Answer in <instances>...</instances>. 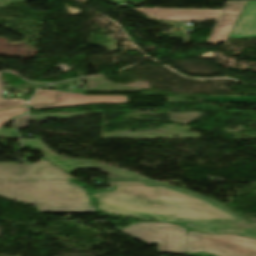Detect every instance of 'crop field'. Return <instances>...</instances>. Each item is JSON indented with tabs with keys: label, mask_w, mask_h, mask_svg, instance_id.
<instances>
[{
	"label": "crop field",
	"mask_w": 256,
	"mask_h": 256,
	"mask_svg": "<svg viewBox=\"0 0 256 256\" xmlns=\"http://www.w3.org/2000/svg\"><path fill=\"white\" fill-rule=\"evenodd\" d=\"M22 144H29L35 148L42 150L45 156L59 167L68 170L69 172L76 169H100L103 173H107L110 179H148L143 176L134 174L130 171L113 168L89 161L71 159L61 157L49 150L40 139H21Z\"/></svg>",
	"instance_id": "crop-field-7"
},
{
	"label": "crop field",
	"mask_w": 256,
	"mask_h": 256,
	"mask_svg": "<svg viewBox=\"0 0 256 256\" xmlns=\"http://www.w3.org/2000/svg\"><path fill=\"white\" fill-rule=\"evenodd\" d=\"M27 114V110L25 107L18 108V109H12V110H6L0 112V127L4 124L8 123L12 119ZM0 138H18V133L0 128Z\"/></svg>",
	"instance_id": "crop-field-11"
},
{
	"label": "crop field",
	"mask_w": 256,
	"mask_h": 256,
	"mask_svg": "<svg viewBox=\"0 0 256 256\" xmlns=\"http://www.w3.org/2000/svg\"><path fill=\"white\" fill-rule=\"evenodd\" d=\"M256 37V1H250L230 34V39Z\"/></svg>",
	"instance_id": "crop-field-10"
},
{
	"label": "crop field",
	"mask_w": 256,
	"mask_h": 256,
	"mask_svg": "<svg viewBox=\"0 0 256 256\" xmlns=\"http://www.w3.org/2000/svg\"><path fill=\"white\" fill-rule=\"evenodd\" d=\"M0 195L36 205L40 212L96 211L71 180H0Z\"/></svg>",
	"instance_id": "crop-field-2"
},
{
	"label": "crop field",
	"mask_w": 256,
	"mask_h": 256,
	"mask_svg": "<svg viewBox=\"0 0 256 256\" xmlns=\"http://www.w3.org/2000/svg\"><path fill=\"white\" fill-rule=\"evenodd\" d=\"M127 103V96H84L54 90H38L37 95L28 104L35 109L74 107L88 104Z\"/></svg>",
	"instance_id": "crop-field-6"
},
{
	"label": "crop field",
	"mask_w": 256,
	"mask_h": 256,
	"mask_svg": "<svg viewBox=\"0 0 256 256\" xmlns=\"http://www.w3.org/2000/svg\"><path fill=\"white\" fill-rule=\"evenodd\" d=\"M206 102H256V97H243V96L206 97Z\"/></svg>",
	"instance_id": "crop-field-12"
},
{
	"label": "crop field",
	"mask_w": 256,
	"mask_h": 256,
	"mask_svg": "<svg viewBox=\"0 0 256 256\" xmlns=\"http://www.w3.org/2000/svg\"><path fill=\"white\" fill-rule=\"evenodd\" d=\"M0 179H72L71 176L43 160L31 165H1Z\"/></svg>",
	"instance_id": "crop-field-8"
},
{
	"label": "crop field",
	"mask_w": 256,
	"mask_h": 256,
	"mask_svg": "<svg viewBox=\"0 0 256 256\" xmlns=\"http://www.w3.org/2000/svg\"><path fill=\"white\" fill-rule=\"evenodd\" d=\"M247 1H227L222 10L207 9H160L138 8V12L153 20L205 21L217 22L207 39V43L217 44L225 41Z\"/></svg>",
	"instance_id": "crop-field-3"
},
{
	"label": "crop field",
	"mask_w": 256,
	"mask_h": 256,
	"mask_svg": "<svg viewBox=\"0 0 256 256\" xmlns=\"http://www.w3.org/2000/svg\"><path fill=\"white\" fill-rule=\"evenodd\" d=\"M128 1H132V2L138 3V2H141V1H143V0H128Z\"/></svg>",
	"instance_id": "crop-field-17"
},
{
	"label": "crop field",
	"mask_w": 256,
	"mask_h": 256,
	"mask_svg": "<svg viewBox=\"0 0 256 256\" xmlns=\"http://www.w3.org/2000/svg\"><path fill=\"white\" fill-rule=\"evenodd\" d=\"M200 251L217 256H256V240L233 234H202L188 229L187 253Z\"/></svg>",
	"instance_id": "crop-field-4"
},
{
	"label": "crop field",
	"mask_w": 256,
	"mask_h": 256,
	"mask_svg": "<svg viewBox=\"0 0 256 256\" xmlns=\"http://www.w3.org/2000/svg\"><path fill=\"white\" fill-rule=\"evenodd\" d=\"M117 191L100 194L104 212L163 222H248L213 200L198 194L153 182H116Z\"/></svg>",
	"instance_id": "crop-field-1"
},
{
	"label": "crop field",
	"mask_w": 256,
	"mask_h": 256,
	"mask_svg": "<svg viewBox=\"0 0 256 256\" xmlns=\"http://www.w3.org/2000/svg\"><path fill=\"white\" fill-rule=\"evenodd\" d=\"M21 1H26V0H0L1 5H6V4H12V3H17Z\"/></svg>",
	"instance_id": "crop-field-15"
},
{
	"label": "crop field",
	"mask_w": 256,
	"mask_h": 256,
	"mask_svg": "<svg viewBox=\"0 0 256 256\" xmlns=\"http://www.w3.org/2000/svg\"><path fill=\"white\" fill-rule=\"evenodd\" d=\"M186 226L201 232H232L256 237V223H187Z\"/></svg>",
	"instance_id": "crop-field-9"
},
{
	"label": "crop field",
	"mask_w": 256,
	"mask_h": 256,
	"mask_svg": "<svg viewBox=\"0 0 256 256\" xmlns=\"http://www.w3.org/2000/svg\"><path fill=\"white\" fill-rule=\"evenodd\" d=\"M145 216H150V217H154V218H157V219H159V217H156V216H152V215H148V214H145ZM148 218V217H147ZM148 219H150V218H148ZM150 220H153V219H150ZM154 221H160V219L159 220H154Z\"/></svg>",
	"instance_id": "crop-field-16"
},
{
	"label": "crop field",
	"mask_w": 256,
	"mask_h": 256,
	"mask_svg": "<svg viewBox=\"0 0 256 256\" xmlns=\"http://www.w3.org/2000/svg\"><path fill=\"white\" fill-rule=\"evenodd\" d=\"M150 245L158 242L159 252L186 254V229L174 224L137 223L121 230Z\"/></svg>",
	"instance_id": "crop-field-5"
},
{
	"label": "crop field",
	"mask_w": 256,
	"mask_h": 256,
	"mask_svg": "<svg viewBox=\"0 0 256 256\" xmlns=\"http://www.w3.org/2000/svg\"><path fill=\"white\" fill-rule=\"evenodd\" d=\"M115 181H152V180H111V181H110L111 190H107V191L116 190ZM107 191H101L100 193H102V192H107ZM100 193L94 194V196L97 197V198L99 199V202L101 203L102 200H101V198H100V196H99Z\"/></svg>",
	"instance_id": "crop-field-14"
},
{
	"label": "crop field",
	"mask_w": 256,
	"mask_h": 256,
	"mask_svg": "<svg viewBox=\"0 0 256 256\" xmlns=\"http://www.w3.org/2000/svg\"><path fill=\"white\" fill-rule=\"evenodd\" d=\"M3 84L1 82L0 73V110L18 107L26 104V101L20 99H2Z\"/></svg>",
	"instance_id": "crop-field-13"
}]
</instances>
